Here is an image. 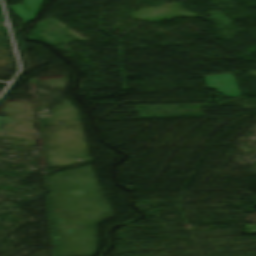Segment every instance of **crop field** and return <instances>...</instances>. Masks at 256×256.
Masks as SVG:
<instances>
[{"label":"crop field","mask_w":256,"mask_h":256,"mask_svg":"<svg viewBox=\"0 0 256 256\" xmlns=\"http://www.w3.org/2000/svg\"><path fill=\"white\" fill-rule=\"evenodd\" d=\"M205 78L208 88L216 89L227 96H240L232 74L209 76Z\"/></svg>","instance_id":"1"},{"label":"crop field","mask_w":256,"mask_h":256,"mask_svg":"<svg viewBox=\"0 0 256 256\" xmlns=\"http://www.w3.org/2000/svg\"><path fill=\"white\" fill-rule=\"evenodd\" d=\"M46 0H24L28 8L33 11V13L27 11L22 4L11 6L10 8L22 19H25V21H30L33 19V17L36 15L38 10L41 8L43 3ZM24 3V4H25Z\"/></svg>","instance_id":"2"}]
</instances>
